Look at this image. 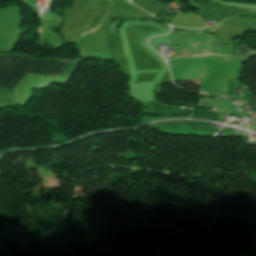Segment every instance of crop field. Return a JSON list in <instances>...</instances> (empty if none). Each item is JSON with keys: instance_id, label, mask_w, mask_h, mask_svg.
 Instances as JSON below:
<instances>
[{"instance_id": "obj_1", "label": "crop field", "mask_w": 256, "mask_h": 256, "mask_svg": "<svg viewBox=\"0 0 256 256\" xmlns=\"http://www.w3.org/2000/svg\"><path fill=\"white\" fill-rule=\"evenodd\" d=\"M79 61L49 60L2 54L0 55V88L14 89L26 74L70 77Z\"/></svg>"}]
</instances>
